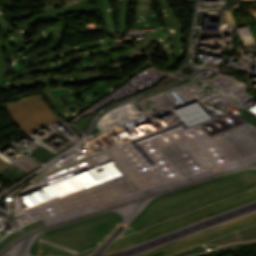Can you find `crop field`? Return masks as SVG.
Returning a JSON list of instances; mask_svg holds the SVG:
<instances>
[{
  "label": "crop field",
  "mask_w": 256,
  "mask_h": 256,
  "mask_svg": "<svg viewBox=\"0 0 256 256\" xmlns=\"http://www.w3.org/2000/svg\"><path fill=\"white\" fill-rule=\"evenodd\" d=\"M6 106L13 122L25 134L59 119L39 95L8 103Z\"/></svg>",
  "instance_id": "8a807250"
}]
</instances>
